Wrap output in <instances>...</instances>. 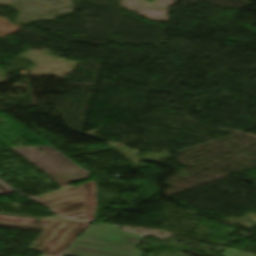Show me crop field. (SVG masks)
Segmentation results:
<instances>
[{
    "mask_svg": "<svg viewBox=\"0 0 256 256\" xmlns=\"http://www.w3.org/2000/svg\"><path fill=\"white\" fill-rule=\"evenodd\" d=\"M95 192L93 181L34 200L66 219L93 222L97 205Z\"/></svg>",
    "mask_w": 256,
    "mask_h": 256,
    "instance_id": "obj_2",
    "label": "crop field"
},
{
    "mask_svg": "<svg viewBox=\"0 0 256 256\" xmlns=\"http://www.w3.org/2000/svg\"><path fill=\"white\" fill-rule=\"evenodd\" d=\"M42 171H57L66 182H74L88 177V172L62 155L51 146L12 148ZM37 149L43 150L42 152Z\"/></svg>",
    "mask_w": 256,
    "mask_h": 256,
    "instance_id": "obj_3",
    "label": "crop field"
},
{
    "mask_svg": "<svg viewBox=\"0 0 256 256\" xmlns=\"http://www.w3.org/2000/svg\"><path fill=\"white\" fill-rule=\"evenodd\" d=\"M42 256H49V255H45V254H43Z\"/></svg>",
    "mask_w": 256,
    "mask_h": 256,
    "instance_id": "obj_6",
    "label": "crop field"
},
{
    "mask_svg": "<svg viewBox=\"0 0 256 256\" xmlns=\"http://www.w3.org/2000/svg\"><path fill=\"white\" fill-rule=\"evenodd\" d=\"M11 190L12 189H10L8 186H6L0 181V194L10 192Z\"/></svg>",
    "mask_w": 256,
    "mask_h": 256,
    "instance_id": "obj_5",
    "label": "crop field"
},
{
    "mask_svg": "<svg viewBox=\"0 0 256 256\" xmlns=\"http://www.w3.org/2000/svg\"><path fill=\"white\" fill-rule=\"evenodd\" d=\"M46 174L49 176L50 179H52L59 185L64 186V187L70 186V185H68V183H66L64 181V179L61 177V175L59 173L50 171V172H46Z\"/></svg>",
    "mask_w": 256,
    "mask_h": 256,
    "instance_id": "obj_4",
    "label": "crop field"
},
{
    "mask_svg": "<svg viewBox=\"0 0 256 256\" xmlns=\"http://www.w3.org/2000/svg\"><path fill=\"white\" fill-rule=\"evenodd\" d=\"M32 219L0 216V226L44 232L30 249L61 256L67 246L89 225L86 223L61 221L55 219Z\"/></svg>",
    "mask_w": 256,
    "mask_h": 256,
    "instance_id": "obj_1",
    "label": "crop field"
}]
</instances>
